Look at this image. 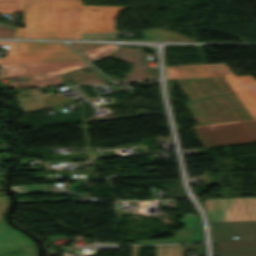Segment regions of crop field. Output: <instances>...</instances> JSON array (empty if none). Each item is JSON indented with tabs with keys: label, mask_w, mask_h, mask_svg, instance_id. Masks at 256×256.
Listing matches in <instances>:
<instances>
[{
	"label": "crop field",
	"mask_w": 256,
	"mask_h": 256,
	"mask_svg": "<svg viewBox=\"0 0 256 256\" xmlns=\"http://www.w3.org/2000/svg\"><path fill=\"white\" fill-rule=\"evenodd\" d=\"M23 26L15 38L67 39V35L115 31L114 19L127 7L82 5L80 0H23Z\"/></svg>",
	"instance_id": "1"
},
{
	"label": "crop field",
	"mask_w": 256,
	"mask_h": 256,
	"mask_svg": "<svg viewBox=\"0 0 256 256\" xmlns=\"http://www.w3.org/2000/svg\"><path fill=\"white\" fill-rule=\"evenodd\" d=\"M175 79L222 76L253 119L194 126L204 147L256 141V81L236 76L224 63L168 67Z\"/></svg>",
	"instance_id": "2"
},
{
	"label": "crop field",
	"mask_w": 256,
	"mask_h": 256,
	"mask_svg": "<svg viewBox=\"0 0 256 256\" xmlns=\"http://www.w3.org/2000/svg\"><path fill=\"white\" fill-rule=\"evenodd\" d=\"M176 81L189 100L232 93L222 77ZM185 104L198 124L251 118L235 94L187 101Z\"/></svg>",
	"instance_id": "3"
},
{
	"label": "crop field",
	"mask_w": 256,
	"mask_h": 256,
	"mask_svg": "<svg viewBox=\"0 0 256 256\" xmlns=\"http://www.w3.org/2000/svg\"><path fill=\"white\" fill-rule=\"evenodd\" d=\"M209 225L217 245L215 256H256V221L209 222Z\"/></svg>",
	"instance_id": "4"
},
{
	"label": "crop field",
	"mask_w": 256,
	"mask_h": 256,
	"mask_svg": "<svg viewBox=\"0 0 256 256\" xmlns=\"http://www.w3.org/2000/svg\"><path fill=\"white\" fill-rule=\"evenodd\" d=\"M84 60L64 43L17 42V50L6 52L0 65Z\"/></svg>",
	"instance_id": "5"
},
{
	"label": "crop field",
	"mask_w": 256,
	"mask_h": 256,
	"mask_svg": "<svg viewBox=\"0 0 256 256\" xmlns=\"http://www.w3.org/2000/svg\"><path fill=\"white\" fill-rule=\"evenodd\" d=\"M208 221L256 220V198L207 199Z\"/></svg>",
	"instance_id": "6"
},
{
	"label": "crop field",
	"mask_w": 256,
	"mask_h": 256,
	"mask_svg": "<svg viewBox=\"0 0 256 256\" xmlns=\"http://www.w3.org/2000/svg\"><path fill=\"white\" fill-rule=\"evenodd\" d=\"M89 65L86 61L0 66V79L8 76L49 75Z\"/></svg>",
	"instance_id": "7"
},
{
	"label": "crop field",
	"mask_w": 256,
	"mask_h": 256,
	"mask_svg": "<svg viewBox=\"0 0 256 256\" xmlns=\"http://www.w3.org/2000/svg\"><path fill=\"white\" fill-rule=\"evenodd\" d=\"M177 223L183 224L185 227L175 232L174 239L139 241L138 244L197 242L203 240L201 221L199 217L186 213L184 218Z\"/></svg>",
	"instance_id": "8"
},
{
	"label": "crop field",
	"mask_w": 256,
	"mask_h": 256,
	"mask_svg": "<svg viewBox=\"0 0 256 256\" xmlns=\"http://www.w3.org/2000/svg\"><path fill=\"white\" fill-rule=\"evenodd\" d=\"M70 45L91 62L110 57L111 52L118 47V45L93 43H70Z\"/></svg>",
	"instance_id": "9"
},
{
	"label": "crop field",
	"mask_w": 256,
	"mask_h": 256,
	"mask_svg": "<svg viewBox=\"0 0 256 256\" xmlns=\"http://www.w3.org/2000/svg\"><path fill=\"white\" fill-rule=\"evenodd\" d=\"M57 85H63L60 75L28 78L26 82L12 83V85L6 87V90Z\"/></svg>",
	"instance_id": "10"
},
{
	"label": "crop field",
	"mask_w": 256,
	"mask_h": 256,
	"mask_svg": "<svg viewBox=\"0 0 256 256\" xmlns=\"http://www.w3.org/2000/svg\"><path fill=\"white\" fill-rule=\"evenodd\" d=\"M144 40H159V41H194L190 38L169 32L161 28L141 31Z\"/></svg>",
	"instance_id": "11"
},
{
	"label": "crop field",
	"mask_w": 256,
	"mask_h": 256,
	"mask_svg": "<svg viewBox=\"0 0 256 256\" xmlns=\"http://www.w3.org/2000/svg\"><path fill=\"white\" fill-rule=\"evenodd\" d=\"M24 13L22 0H0V14Z\"/></svg>",
	"instance_id": "12"
},
{
	"label": "crop field",
	"mask_w": 256,
	"mask_h": 256,
	"mask_svg": "<svg viewBox=\"0 0 256 256\" xmlns=\"http://www.w3.org/2000/svg\"><path fill=\"white\" fill-rule=\"evenodd\" d=\"M0 256H36V248L33 245L22 249L2 253L0 254Z\"/></svg>",
	"instance_id": "13"
},
{
	"label": "crop field",
	"mask_w": 256,
	"mask_h": 256,
	"mask_svg": "<svg viewBox=\"0 0 256 256\" xmlns=\"http://www.w3.org/2000/svg\"><path fill=\"white\" fill-rule=\"evenodd\" d=\"M11 189L18 194H27L32 192H45L44 185H31V186H13Z\"/></svg>",
	"instance_id": "14"
},
{
	"label": "crop field",
	"mask_w": 256,
	"mask_h": 256,
	"mask_svg": "<svg viewBox=\"0 0 256 256\" xmlns=\"http://www.w3.org/2000/svg\"><path fill=\"white\" fill-rule=\"evenodd\" d=\"M15 25H0V37L14 38L13 30Z\"/></svg>",
	"instance_id": "15"
},
{
	"label": "crop field",
	"mask_w": 256,
	"mask_h": 256,
	"mask_svg": "<svg viewBox=\"0 0 256 256\" xmlns=\"http://www.w3.org/2000/svg\"><path fill=\"white\" fill-rule=\"evenodd\" d=\"M86 37L87 39H116V34H95Z\"/></svg>",
	"instance_id": "16"
},
{
	"label": "crop field",
	"mask_w": 256,
	"mask_h": 256,
	"mask_svg": "<svg viewBox=\"0 0 256 256\" xmlns=\"http://www.w3.org/2000/svg\"><path fill=\"white\" fill-rule=\"evenodd\" d=\"M0 45H9V50L15 49L14 42H3V41H0Z\"/></svg>",
	"instance_id": "17"
},
{
	"label": "crop field",
	"mask_w": 256,
	"mask_h": 256,
	"mask_svg": "<svg viewBox=\"0 0 256 256\" xmlns=\"http://www.w3.org/2000/svg\"><path fill=\"white\" fill-rule=\"evenodd\" d=\"M84 34L68 36V39H83Z\"/></svg>",
	"instance_id": "18"
},
{
	"label": "crop field",
	"mask_w": 256,
	"mask_h": 256,
	"mask_svg": "<svg viewBox=\"0 0 256 256\" xmlns=\"http://www.w3.org/2000/svg\"><path fill=\"white\" fill-rule=\"evenodd\" d=\"M166 74H167V79H174V77L172 76V74L169 72V70L166 67Z\"/></svg>",
	"instance_id": "19"
}]
</instances>
